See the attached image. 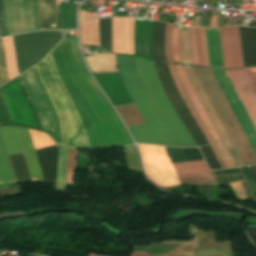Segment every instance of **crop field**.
<instances>
[{
	"label": "crop field",
	"mask_w": 256,
	"mask_h": 256,
	"mask_svg": "<svg viewBox=\"0 0 256 256\" xmlns=\"http://www.w3.org/2000/svg\"><path fill=\"white\" fill-rule=\"evenodd\" d=\"M51 53L58 74L86 129L90 145L131 144L117 114L89 75L78 51L77 40L65 37Z\"/></svg>",
	"instance_id": "8a807250"
},
{
	"label": "crop field",
	"mask_w": 256,
	"mask_h": 256,
	"mask_svg": "<svg viewBox=\"0 0 256 256\" xmlns=\"http://www.w3.org/2000/svg\"><path fill=\"white\" fill-rule=\"evenodd\" d=\"M117 62L124 85L136 108L148 124L159 145L180 147L164 119L150 100L144 89L135 58L128 55H117ZM147 124L128 127L136 143L158 145Z\"/></svg>",
	"instance_id": "ac0d7876"
},
{
	"label": "crop field",
	"mask_w": 256,
	"mask_h": 256,
	"mask_svg": "<svg viewBox=\"0 0 256 256\" xmlns=\"http://www.w3.org/2000/svg\"><path fill=\"white\" fill-rule=\"evenodd\" d=\"M36 66L57 110L61 124L63 145L72 148L89 147L90 145L83 130L84 127L57 74L51 53Z\"/></svg>",
	"instance_id": "34b2d1b8"
},
{
	"label": "crop field",
	"mask_w": 256,
	"mask_h": 256,
	"mask_svg": "<svg viewBox=\"0 0 256 256\" xmlns=\"http://www.w3.org/2000/svg\"><path fill=\"white\" fill-rule=\"evenodd\" d=\"M211 103L222 121L244 165L256 164V157L250 148L233 112L231 111L210 68L193 66Z\"/></svg>",
	"instance_id": "412701ff"
},
{
	"label": "crop field",
	"mask_w": 256,
	"mask_h": 256,
	"mask_svg": "<svg viewBox=\"0 0 256 256\" xmlns=\"http://www.w3.org/2000/svg\"><path fill=\"white\" fill-rule=\"evenodd\" d=\"M136 61L141 80L151 100L165 119L181 147L197 146L190 133L170 104L160 83L154 63L140 57H136Z\"/></svg>",
	"instance_id": "f4fd0767"
},
{
	"label": "crop field",
	"mask_w": 256,
	"mask_h": 256,
	"mask_svg": "<svg viewBox=\"0 0 256 256\" xmlns=\"http://www.w3.org/2000/svg\"><path fill=\"white\" fill-rule=\"evenodd\" d=\"M0 125H21L42 131L20 77L0 88Z\"/></svg>",
	"instance_id": "dd49c442"
},
{
	"label": "crop field",
	"mask_w": 256,
	"mask_h": 256,
	"mask_svg": "<svg viewBox=\"0 0 256 256\" xmlns=\"http://www.w3.org/2000/svg\"><path fill=\"white\" fill-rule=\"evenodd\" d=\"M37 112L43 131L62 145L57 113L48 97L36 66L20 75Z\"/></svg>",
	"instance_id": "e52e79f7"
},
{
	"label": "crop field",
	"mask_w": 256,
	"mask_h": 256,
	"mask_svg": "<svg viewBox=\"0 0 256 256\" xmlns=\"http://www.w3.org/2000/svg\"><path fill=\"white\" fill-rule=\"evenodd\" d=\"M19 73L39 62L61 39V31H41L13 36Z\"/></svg>",
	"instance_id": "d8731c3e"
},
{
	"label": "crop field",
	"mask_w": 256,
	"mask_h": 256,
	"mask_svg": "<svg viewBox=\"0 0 256 256\" xmlns=\"http://www.w3.org/2000/svg\"><path fill=\"white\" fill-rule=\"evenodd\" d=\"M144 163L145 173L150 179L164 187L180 185L178 178L167 157L165 148L154 145H138Z\"/></svg>",
	"instance_id": "5a996713"
},
{
	"label": "crop field",
	"mask_w": 256,
	"mask_h": 256,
	"mask_svg": "<svg viewBox=\"0 0 256 256\" xmlns=\"http://www.w3.org/2000/svg\"><path fill=\"white\" fill-rule=\"evenodd\" d=\"M157 72L159 74L160 80L162 82L163 88L172 103L174 109L180 116L181 120L193 136L194 140L198 144L207 145L208 142L205 139L204 135L202 134L201 130L199 129L198 125L196 124L195 120L191 116L190 112L188 111L187 107L183 103L182 99L180 98L174 83L171 79L170 73L168 71L167 65L163 63L154 62Z\"/></svg>",
	"instance_id": "3316defc"
},
{
	"label": "crop field",
	"mask_w": 256,
	"mask_h": 256,
	"mask_svg": "<svg viewBox=\"0 0 256 256\" xmlns=\"http://www.w3.org/2000/svg\"><path fill=\"white\" fill-rule=\"evenodd\" d=\"M256 155V131L225 71L211 69Z\"/></svg>",
	"instance_id": "28ad6ade"
},
{
	"label": "crop field",
	"mask_w": 256,
	"mask_h": 256,
	"mask_svg": "<svg viewBox=\"0 0 256 256\" xmlns=\"http://www.w3.org/2000/svg\"><path fill=\"white\" fill-rule=\"evenodd\" d=\"M175 65V68H176V71L178 73V76H179V79H180V82L186 92V94L188 95L192 105L194 106L195 110L197 111L199 117L201 118L202 122L204 123L206 129L208 130L210 136L212 137L225 165L227 168H231V167H234L222 142L220 141L216 131L214 130L184 68L182 65H178V64H174Z\"/></svg>",
	"instance_id": "d1516ede"
},
{
	"label": "crop field",
	"mask_w": 256,
	"mask_h": 256,
	"mask_svg": "<svg viewBox=\"0 0 256 256\" xmlns=\"http://www.w3.org/2000/svg\"><path fill=\"white\" fill-rule=\"evenodd\" d=\"M226 72L256 128V91L245 69Z\"/></svg>",
	"instance_id": "22f410ed"
},
{
	"label": "crop field",
	"mask_w": 256,
	"mask_h": 256,
	"mask_svg": "<svg viewBox=\"0 0 256 256\" xmlns=\"http://www.w3.org/2000/svg\"><path fill=\"white\" fill-rule=\"evenodd\" d=\"M224 68L244 67L238 27L220 29Z\"/></svg>",
	"instance_id": "cbeb9de0"
},
{
	"label": "crop field",
	"mask_w": 256,
	"mask_h": 256,
	"mask_svg": "<svg viewBox=\"0 0 256 256\" xmlns=\"http://www.w3.org/2000/svg\"><path fill=\"white\" fill-rule=\"evenodd\" d=\"M134 22L131 18H112L114 52L133 54Z\"/></svg>",
	"instance_id": "5142ce71"
},
{
	"label": "crop field",
	"mask_w": 256,
	"mask_h": 256,
	"mask_svg": "<svg viewBox=\"0 0 256 256\" xmlns=\"http://www.w3.org/2000/svg\"><path fill=\"white\" fill-rule=\"evenodd\" d=\"M172 165L181 184L215 183L204 160Z\"/></svg>",
	"instance_id": "d9b57169"
},
{
	"label": "crop field",
	"mask_w": 256,
	"mask_h": 256,
	"mask_svg": "<svg viewBox=\"0 0 256 256\" xmlns=\"http://www.w3.org/2000/svg\"><path fill=\"white\" fill-rule=\"evenodd\" d=\"M0 131L8 155L34 150L27 128L8 126Z\"/></svg>",
	"instance_id": "733c2abd"
},
{
	"label": "crop field",
	"mask_w": 256,
	"mask_h": 256,
	"mask_svg": "<svg viewBox=\"0 0 256 256\" xmlns=\"http://www.w3.org/2000/svg\"><path fill=\"white\" fill-rule=\"evenodd\" d=\"M99 85L105 91L113 106L131 103L120 74L94 75Z\"/></svg>",
	"instance_id": "4a817a6b"
},
{
	"label": "crop field",
	"mask_w": 256,
	"mask_h": 256,
	"mask_svg": "<svg viewBox=\"0 0 256 256\" xmlns=\"http://www.w3.org/2000/svg\"><path fill=\"white\" fill-rule=\"evenodd\" d=\"M152 25L153 22L150 21L136 20L134 31L135 54L144 55L150 59H153Z\"/></svg>",
	"instance_id": "bc2a9ffb"
},
{
	"label": "crop field",
	"mask_w": 256,
	"mask_h": 256,
	"mask_svg": "<svg viewBox=\"0 0 256 256\" xmlns=\"http://www.w3.org/2000/svg\"><path fill=\"white\" fill-rule=\"evenodd\" d=\"M38 162L45 182H53L55 187L58 146L36 150Z\"/></svg>",
	"instance_id": "214f88e0"
},
{
	"label": "crop field",
	"mask_w": 256,
	"mask_h": 256,
	"mask_svg": "<svg viewBox=\"0 0 256 256\" xmlns=\"http://www.w3.org/2000/svg\"><path fill=\"white\" fill-rule=\"evenodd\" d=\"M192 64L209 66L204 28L190 27Z\"/></svg>",
	"instance_id": "92a150f3"
},
{
	"label": "crop field",
	"mask_w": 256,
	"mask_h": 256,
	"mask_svg": "<svg viewBox=\"0 0 256 256\" xmlns=\"http://www.w3.org/2000/svg\"><path fill=\"white\" fill-rule=\"evenodd\" d=\"M168 65V68L170 70V73H171V76H172V79L175 83V86L181 96V98L183 99L184 103L186 104V106L188 107L189 111L191 112V114L193 115L194 119L196 120L197 124L199 125L200 129L202 130L203 134L205 135L206 139L208 140L209 144L211 145L220 165L222 168H226L211 137L209 136L207 130L205 129L203 123L201 122L200 118L198 117L196 111L194 110L193 106L191 105L187 95L185 94L180 82H179V79H178V76L176 74V71H175V68H174V65L173 64H167Z\"/></svg>",
	"instance_id": "dafd665d"
},
{
	"label": "crop field",
	"mask_w": 256,
	"mask_h": 256,
	"mask_svg": "<svg viewBox=\"0 0 256 256\" xmlns=\"http://www.w3.org/2000/svg\"><path fill=\"white\" fill-rule=\"evenodd\" d=\"M210 66L223 68L222 51L218 30L206 29Z\"/></svg>",
	"instance_id": "00972430"
},
{
	"label": "crop field",
	"mask_w": 256,
	"mask_h": 256,
	"mask_svg": "<svg viewBox=\"0 0 256 256\" xmlns=\"http://www.w3.org/2000/svg\"><path fill=\"white\" fill-rule=\"evenodd\" d=\"M80 44L100 46L98 19L80 22Z\"/></svg>",
	"instance_id": "a9b5d70f"
},
{
	"label": "crop field",
	"mask_w": 256,
	"mask_h": 256,
	"mask_svg": "<svg viewBox=\"0 0 256 256\" xmlns=\"http://www.w3.org/2000/svg\"><path fill=\"white\" fill-rule=\"evenodd\" d=\"M17 183L0 135V185Z\"/></svg>",
	"instance_id": "4177f3b9"
},
{
	"label": "crop field",
	"mask_w": 256,
	"mask_h": 256,
	"mask_svg": "<svg viewBox=\"0 0 256 256\" xmlns=\"http://www.w3.org/2000/svg\"><path fill=\"white\" fill-rule=\"evenodd\" d=\"M165 23L154 21L153 25V52L154 59L166 61L164 51Z\"/></svg>",
	"instance_id": "730fd06b"
},
{
	"label": "crop field",
	"mask_w": 256,
	"mask_h": 256,
	"mask_svg": "<svg viewBox=\"0 0 256 256\" xmlns=\"http://www.w3.org/2000/svg\"><path fill=\"white\" fill-rule=\"evenodd\" d=\"M4 53L9 73V78L12 79L15 76L19 75L16 66V58H15V51L13 45L12 36L2 38Z\"/></svg>",
	"instance_id": "eef30255"
},
{
	"label": "crop field",
	"mask_w": 256,
	"mask_h": 256,
	"mask_svg": "<svg viewBox=\"0 0 256 256\" xmlns=\"http://www.w3.org/2000/svg\"><path fill=\"white\" fill-rule=\"evenodd\" d=\"M116 109L126 126L145 123L134 104L118 106Z\"/></svg>",
	"instance_id": "ae1a2a85"
},
{
	"label": "crop field",
	"mask_w": 256,
	"mask_h": 256,
	"mask_svg": "<svg viewBox=\"0 0 256 256\" xmlns=\"http://www.w3.org/2000/svg\"><path fill=\"white\" fill-rule=\"evenodd\" d=\"M68 149L59 147L56 190H64Z\"/></svg>",
	"instance_id": "d3111659"
},
{
	"label": "crop field",
	"mask_w": 256,
	"mask_h": 256,
	"mask_svg": "<svg viewBox=\"0 0 256 256\" xmlns=\"http://www.w3.org/2000/svg\"><path fill=\"white\" fill-rule=\"evenodd\" d=\"M212 174L216 179L218 185L232 183L234 181H238L245 178L243 177V174L240 168L223 170V171H215V172H212Z\"/></svg>",
	"instance_id": "750c4746"
},
{
	"label": "crop field",
	"mask_w": 256,
	"mask_h": 256,
	"mask_svg": "<svg viewBox=\"0 0 256 256\" xmlns=\"http://www.w3.org/2000/svg\"><path fill=\"white\" fill-rule=\"evenodd\" d=\"M24 158L33 182H44L36 159L35 152L24 153Z\"/></svg>",
	"instance_id": "bd1437ed"
},
{
	"label": "crop field",
	"mask_w": 256,
	"mask_h": 256,
	"mask_svg": "<svg viewBox=\"0 0 256 256\" xmlns=\"http://www.w3.org/2000/svg\"><path fill=\"white\" fill-rule=\"evenodd\" d=\"M30 130V129H29ZM31 138L33 141L34 149L47 147L54 145L55 143L50 139V137L42 132L30 130Z\"/></svg>",
	"instance_id": "1d83c4d3"
},
{
	"label": "crop field",
	"mask_w": 256,
	"mask_h": 256,
	"mask_svg": "<svg viewBox=\"0 0 256 256\" xmlns=\"http://www.w3.org/2000/svg\"><path fill=\"white\" fill-rule=\"evenodd\" d=\"M172 52L174 62L182 63L179 29L172 30Z\"/></svg>",
	"instance_id": "120bbe31"
},
{
	"label": "crop field",
	"mask_w": 256,
	"mask_h": 256,
	"mask_svg": "<svg viewBox=\"0 0 256 256\" xmlns=\"http://www.w3.org/2000/svg\"><path fill=\"white\" fill-rule=\"evenodd\" d=\"M77 151L69 149L66 184H73Z\"/></svg>",
	"instance_id": "d32e631a"
},
{
	"label": "crop field",
	"mask_w": 256,
	"mask_h": 256,
	"mask_svg": "<svg viewBox=\"0 0 256 256\" xmlns=\"http://www.w3.org/2000/svg\"><path fill=\"white\" fill-rule=\"evenodd\" d=\"M202 154L204 155L210 169L220 168L210 146L200 147Z\"/></svg>",
	"instance_id": "5866460e"
},
{
	"label": "crop field",
	"mask_w": 256,
	"mask_h": 256,
	"mask_svg": "<svg viewBox=\"0 0 256 256\" xmlns=\"http://www.w3.org/2000/svg\"><path fill=\"white\" fill-rule=\"evenodd\" d=\"M171 28L172 24L166 23L165 27V51L167 62H173L172 52H171Z\"/></svg>",
	"instance_id": "028f5c9d"
},
{
	"label": "crop field",
	"mask_w": 256,
	"mask_h": 256,
	"mask_svg": "<svg viewBox=\"0 0 256 256\" xmlns=\"http://www.w3.org/2000/svg\"><path fill=\"white\" fill-rule=\"evenodd\" d=\"M230 186L238 198L240 199L246 198L239 181L230 184Z\"/></svg>",
	"instance_id": "e1f06a70"
},
{
	"label": "crop field",
	"mask_w": 256,
	"mask_h": 256,
	"mask_svg": "<svg viewBox=\"0 0 256 256\" xmlns=\"http://www.w3.org/2000/svg\"><path fill=\"white\" fill-rule=\"evenodd\" d=\"M255 89H256V68H249L246 69Z\"/></svg>",
	"instance_id": "0bd39190"
},
{
	"label": "crop field",
	"mask_w": 256,
	"mask_h": 256,
	"mask_svg": "<svg viewBox=\"0 0 256 256\" xmlns=\"http://www.w3.org/2000/svg\"><path fill=\"white\" fill-rule=\"evenodd\" d=\"M97 17H98L97 12L87 13V12L80 10V20L89 19V18H97Z\"/></svg>",
	"instance_id": "b80d0937"
},
{
	"label": "crop field",
	"mask_w": 256,
	"mask_h": 256,
	"mask_svg": "<svg viewBox=\"0 0 256 256\" xmlns=\"http://www.w3.org/2000/svg\"><path fill=\"white\" fill-rule=\"evenodd\" d=\"M256 185V166L248 167Z\"/></svg>",
	"instance_id": "c035e120"
},
{
	"label": "crop field",
	"mask_w": 256,
	"mask_h": 256,
	"mask_svg": "<svg viewBox=\"0 0 256 256\" xmlns=\"http://www.w3.org/2000/svg\"><path fill=\"white\" fill-rule=\"evenodd\" d=\"M89 256H104V255L90 253ZM131 256H152V255L133 252Z\"/></svg>",
	"instance_id": "c21b1889"
},
{
	"label": "crop field",
	"mask_w": 256,
	"mask_h": 256,
	"mask_svg": "<svg viewBox=\"0 0 256 256\" xmlns=\"http://www.w3.org/2000/svg\"><path fill=\"white\" fill-rule=\"evenodd\" d=\"M210 26L217 27L216 15L211 16V24Z\"/></svg>",
	"instance_id": "03da06ac"
}]
</instances>
